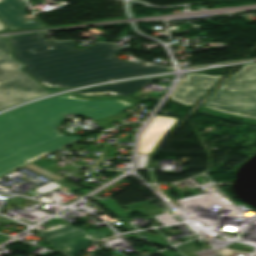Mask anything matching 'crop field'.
<instances>
[{
    "mask_svg": "<svg viewBox=\"0 0 256 256\" xmlns=\"http://www.w3.org/2000/svg\"><path fill=\"white\" fill-rule=\"evenodd\" d=\"M175 121L174 118L156 115L141 136L139 153H149Z\"/></svg>",
    "mask_w": 256,
    "mask_h": 256,
    "instance_id": "d8731c3e",
    "label": "crop field"
},
{
    "mask_svg": "<svg viewBox=\"0 0 256 256\" xmlns=\"http://www.w3.org/2000/svg\"><path fill=\"white\" fill-rule=\"evenodd\" d=\"M0 109L13 104L39 97L43 94L67 88L44 89L30 76L19 70L23 64L11 57L10 46L0 37Z\"/></svg>",
    "mask_w": 256,
    "mask_h": 256,
    "instance_id": "412701ff",
    "label": "crop field"
},
{
    "mask_svg": "<svg viewBox=\"0 0 256 256\" xmlns=\"http://www.w3.org/2000/svg\"><path fill=\"white\" fill-rule=\"evenodd\" d=\"M42 33L9 38L22 69L45 87H75L111 79L167 71L155 65H136L113 55L123 51L114 45L96 43L82 51L67 42L44 52L36 40Z\"/></svg>",
    "mask_w": 256,
    "mask_h": 256,
    "instance_id": "ac0d7876",
    "label": "crop field"
},
{
    "mask_svg": "<svg viewBox=\"0 0 256 256\" xmlns=\"http://www.w3.org/2000/svg\"><path fill=\"white\" fill-rule=\"evenodd\" d=\"M42 36L43 35L37 37V40L44 51L52 49V48L64 43V42H59V43L47 42V41L43 40Z\"/></svg>",
    "mask_w": 256,
    "mask_h": 256,
    "instance_id": "3316defc",
    "label": "crop field"
},
{
    "mask_svg": "<svg viewBox=\"0 0 256 256\" xmlns=\"http://www.w3.org/2000/svg\"><path fill=\"white\" fill-rule=\"evenodd\" d=\"M200 109L256 122V64L243 66Z\"/></svg>",
    "mask_w": 256,
    "mask_h": 256,
    "instance_id": "34b2d1b8",
    "label": "crop field"
},
{
    "mask_svg": "<svg viewBox=\"0 0 256 256\" xmlns=\"http://www.w3.org/2000/svg\"><path fill=\"white\" fill-rule=\"evenodd\" d=\"M1 1V0H0Z\"/></svg>",
    "mask_w": 256,
    "mask_h": 256,
    "instance_id": "22f410ed",
    "label": "crop field"
},
{
    "mask_svg": "<svg viewBox=\"0 0 256 256\" xmlns=\"http://www.w3.org/2000/svg\"><path fill=\"white\" fill-rule=\"evenodd\" d=\"M6 27L0 22V30H4Z\"/></svg>",
    "mask_w": 256,
    "mask_h": 256,
    "instance_id": "28ad6ade",
    "label": "crop field"
},
{
    "mask_svg": "<svg viewBox=\"0 0 256 256\" xmlns=\"http://www.w3.org/2000/svg\"><path fill=\"white\" fill-rule=\"evenodd\" d=\"M221 77L222 76H208L205 74H189L179 83L171 99L190 106Z\"/></svg>",
    "mask_w": 256,
    "mask_h": 256,
    "instance_id": "dd49c442",
    "label": "crop field"
},
{
    "mask_svg": "<svg viewBox=\"0 0 256 256\" xmlns=\"http://www.w3.org/2000/svg\"><path fill=\"white\" fill-rule=\"evenodd\" d=\"M138 102L131 97L87 98L69 93L0 115V159L58 136L1 160L0 176L81 139L58 133L56 126L64 120L63 114L87 115L106 129L112 127L110 123L129 116L121 111Z\"/></svg>",
    "mask_w": 256,
    "mask_h": 256,
    "instance_id": "8a807250",
    "label": "crop field"
},
{
    "mask_svg": "<svg viewBox=\"0 0 256 256\" xmlns=\"http://www.w3.org/2000/svg\"><path fill=\"white\" fill-rule=\"evenodd\" d=\"M46 141V140H45Z\"/></svg>",
    "mask_w": 256,
    "mask_h": 256,
    "instance_id": "d1516ede",
    "label": "crop field"
},
{
    "mask_svg": "<svg viewBox=\"0 0 256 256\" xmlns=\"http://www.w3.org/2000/svg\"><path fill=\"white\" fill-rule=\"evenodd\" d=\"M156 78H149V79H142V80H135V81H129L114 85H108L103 87H97L87 90H81L77 93L84 94V95H124V94H133L135 91H137L142 85H144L146 82H155Z\"/></svg>",
    "mask_w": 256,
    "mask_h": 256,
    "instance_id": "5a996713",
    "label": "crop field"
},
{
    "mask_svg": "<svg viewBox=\"0 0 256 256\" xmlns=\"http://www.w3.org/2000/svg\"><path fill=\"white\" fill-rule=\"evenodd\" d=\"M27 5L24 0H6L0 2V19L10 28H28L39 26L38 22L26 21L23 17Z\"/></svg>",
    "mask_w": 256,
    "mask_h": 256,
    "instance_id": "e52e79f7",
    "label": "crop field"
},
{
    "mask_svg": "<svg viewBox=\"0 0 256 256\" xmlns=\"http://www.w3.org/2000/svg\"><path fill=\"white\" fill-rule=\"evenodd\" d=\"M38 233L64 256H76L77 253L91 245L90 241L104 238L99 232L87 234L81 228L61 224Z\"/></svg>",
    "mask_w": 256,
    "mask_h": 256,
    "instance_id": "f4fd0767",
    "label": "crop field"
}]
</instances>
